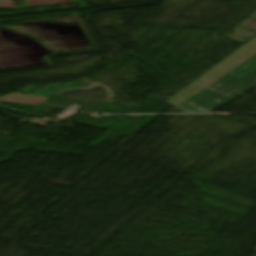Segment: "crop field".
<instances>
[{
	"mask_svg": "<svg viewBox=\"0 0 256 256\" xmlns=\"http://www.w3.org/2000/svg\"><path fill=\"white\" fill-rule=\"evenodd\" d=\"M256 249V248H255Z\"/></svg>",
	"mask_w": 256,
	"mask_h": 256,
	"instance_id": "obj_4",
	"label": "crop field"
},
{
	"mask_svg": "<svg viewBox=\"0 0 256 256\" xmlns=\"http://www.w3.org/2000/svg\"><path fill=\"white\" fill-rule=\"evenodd\" d=\"M243 47H256V37Z\"/></svg>",
	"mask_w": 256,
	"mask_h": 256,
	"instance_id": "obj_3",
	"label": "crop field"
},
{
	"mask_svg": "<svg viewBox=\"0 0 256 256\" xmlns=\"http://www.w3.org/2000/svg\"><path fill=\"white\" fill-rule=\"evenodd\" d=\"M255 86L256 56L176 108L186 113H210Z\"/></svg>",
	"mask_w": 256,
	"mask_h": 256,
	"instance_id": "obj_1",
	"label": "crop field"
},
{
	"mask_svg": "<svg viewBox=\"0 0 256 256\" xmlns=\"http://www.w3.org/2000/svg\"><path fill=\"white\" fill-rule=\"evenodd\" d=\"M256 55V48H241L230 57L225 59L223 62L215 66L213 69L208 71L206 74L201 76L199 79L194 81L192 84L187 86L185 89L177 93L175 96L170 98L168 103L173 106H178L188 98L192 97L220 77L224 76L252 56Z\"/></svg>",
	"mask_w": 256,
	"mask_h": 256,
	"instance_id": "obj_2",
	"label": "crop field"
}]
</instances>
